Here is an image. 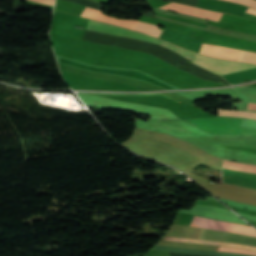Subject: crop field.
Listing matches in <instances>:
<instances>
[{"label": "crop field", "instance_id": "crop-field-7", "mask_svg": "<svg viewBox=\"0 0 256 256\" xmlns=\"http://www.w3.org/2000/svg\"><path fill=\"white\" fill-rule=\"evenodd\" d=\"M204 240H216L222 242L240 243L256 246V238L250 236H244L239 234L213 231V230H201L200 238Z\"/></svg>", "mask_w": 256, "mask_h": 256}, {"label": "crop field", "instance_id": "crop-field-14", "mask_svg": "<svg viewBox=\"0 0 256 256\" xmlns=\"http://www.w3.org/2000/svg\"><path fill=\"white\" fill-rule=\"evenodd\" d=\"M248 11H252V12H255V13H256V10H254V9L248 8ZM248 11H245V13L243 14V16H244V17H247V18H251V19L256 20V14H255V13H252V12H248Z\"/></svg>", "mask_w": 256, "mask_h": 256}, {"label": "crop field", "instance_id": "crop-field-2", "mask_svg": "<svg viewBox=\"0 0 256 256\" xmlns=\"http://www.w3.org/2000/svg\"><path fill=\"white\" fill-rule=\"evenodd\" d=\"M86 29L156 43V44H159L165 48H168V49L178 53L179 55H181L189 60H192L193 52H189V51H187L183 48H180L176 45H173L168 42H165V41H162V40H159V39L147 36V35H143V34L128 30V29H124V28H120V27H116V26H112V25H107V24H103V23H98V22H94L91 20H89Z\"/></svg>", "mask_w": 256, "mask_h": 256}, {"label": "crop field", "instance_id": "crop-field-12", "mask_svg": "<svg viewBox=\"0 0 256 256\" xmlns=\"http://www.w3.org/2000/svg\"><path fill=\"white\" fill-rule=\"evenodd\" d=\"M218 251H228V252H236V253H248L256 255V251H250L239 248H227V247H218Z\"/></svg>", "mask_w": 256, "mask_h": 256}, {"label": "crop field", "instance_id": "crop-field-13", "mask_svg": "<svg viewBox=\"0 0 256 256\" xmlns=\"http://www.w3.org/2000/svg\"><path fill=\"white\" fill-rule=\"evenodd\" d=\"M228 1H234L240 4L256 7V1L255 0H228Z\"/></svg>", "mask_w": 256, "mask_h": 256}, {"label": "crop field", "instance_id": "crop-field-5", "mask_svg": "<svg viewBox=\"0 0 256 256\" xmlns=\"http://www.w3.org/2000/svg\"><path fill=\"white\" fill-rule=\"evenodd\" d=\"M189 225L212 228L222 231L256 236V230L251 226L222 222L193 216Z\"/></svg>", "mask_w": 256, "mask_h": 256}, {"label": "crop field", "instance_id": "crop-field-9", "mask_svg": "<svg viewBox=\"0 0 256 256\" xmlns=\"http://www.w3.org/2000/svg\"><path fill=\"white\" fill-rule=\"evenodd\" d=\"M161 239H164V240H174V241H184V242H193V243H202V244L221 245V246H233V247L247 248V249L256 250V247L247 246V245H240V244H230V243L200 241V240H191V239L167 237V236H163Z\"/></svg>", "mask_w": 256, "mask_h": 256}, {"label": "crop field", "instance_id": "crop-field-8", "mask_svg": "<svg viewBox=\"0 0 256 256\" xmlns=\"http://www.w3.org/2000/svg\"><path fill=\"white\" fill-rule=\"evenodd\" d=\"M160 8L167 9V10H173V11L185 13V14L192 15V16L207 18V19H211V20H215V21H218V19L222 15L221 13L204 10V9H199V8L183 6V5H178V4H174V3H170V4L160 7Z\"/></svg>", "mask_w": 256, "mask_h": 256}, {"label": "crop field", "instance_id": "crop-field-11", "mask_svg": "<svg viewBox=\"0 0 256 256\" xmlns=\"http://www.w3.org/2000/svg\"><path fill=\"white\" fill-rule=\"evenodd\" d=\"M218 115L248 117V118L256 119V113L255 112H247V111H231V110L218 109Z\"/></svg>", "mask_w": 256, "mask_h": 256}, {"label": "crop field", "instance_id": "crop-field-3", "mask_svg": "<svg viewBox=\"0 0 256 256\" xmlns=\"http://www.w3.org/2000/svg\"><path fill=\"white\" fill-rule=\"evenodd\" d=\"M193 62L221 76L256 67L253 64L210 58L197 53H195Z\"/></svg>", "mask_w": 256, "mask_h": 256}, {"label": "crop field", "instance_id": "crop-field-10", "mask_svg": "<svg viewBox=\"0 0 256 256\" xmlns=\"http://www.w3.org/2000/svg\"><path fill=\"white\" fill-rule=\"evenodd\" d=\"M224 167L232 170H243V171L256 173V165H247V164H241V163L225 160Z\"/></svg>", "mask_w": 256, "mask_h": 256}, {"label": "crop field", "instance_id": "crop-field-4", "mask_svg": "<svg viewBox=\"0 0 256 256\" xmlns=\"http://www.w3.org/2000/svg\"><path fill=\"white\" fill-rule=\"evenodd\" d=\"M81 16L86 17V18L95 19V20L104 21V22H109V23H113V24H117V25H121V26H125L130 29H135V30H138V31H141V32H144V33L156 36V37H159V35L162 31L156 25L136 22L137 20L136 21L119 20L117 18L105 16L99 10H95V9H91V8H87V7H85Z\"/></svg>", "mask_w": 256, "mask_h": 256}, {"label": "crop field", "instance_id": "crop-field-6", "mask_svg": "<svg viewBox=\"0 0 256 256\" xmlns=\"http://www.w3.org/2000/svg\"><path fill=\"white\" fill-rule=\"evenodd\" d=\"M241 51L242 50L226 48L222 46H213L203 43L200 52L218 57L239 60ZM240 61L256 63V53L243 50Z\"/></svg>", "mask_w": 256, "mask_h": 256}, {"label": "crop field", "instance_id": "crop-field-15", "mask_svg": "<svg viewBox=\"0 0 256 256\" xmlns=\"http://www.w3.org/2000/svg\"><path fill=\"white\" fill-rule=\"evenodd\" d=\"M32 1L40 2V3L52 5V6L54 4V0H32Z\"/></svg>", "mask_w": 256, "mask_h": 256}, {"label": "crop field", "instance_id": "crop-field-1", "mask_svg": "<svg viewBox=\"0 0 256 256\" xmlns=\"http://www.w3.org/2000/svg\"><path fill=\"white\" fill-rule=\"evenodd\" d=\"M210 134L248 135L256 137V129L239 126L241 118L211 117L183 119Z\"/></svg>", "mask_w": 256, "mask_h": 256}, {"label": "crop field", "instance_id": "crop-field-16", "mask_svg": "<svg viewBox=\"0 0 256 256\" xmlns=\"http://www.w3.org/2000/svg\"><path fill=\"white\" fill-rule=\"evenodd\" d=\"M249 106H250V109H254V110H256V104L249 103Z\"/></svg>", "mask_w": 256, "mask_h": 256}]
</instances>
